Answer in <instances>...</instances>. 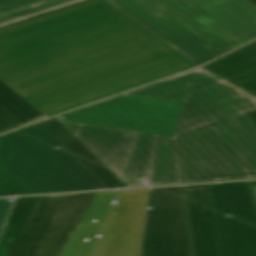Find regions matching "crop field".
<instances>
[{"mask_svg":"<svg viewBox=\"0 0 256 256\" xmlns=\"http://www.w3.org/2000/svg\"><path fill=\"white\" fill-rule=\"evenodd\" d=\"M107 188L123 184L57 117L41 122Z\"/></svg>","mask_w":256,"mask_h":256,"instance_id":"d1516ede","label":"crop field"},{"mask_svg":"<svg viewBox=\"0 0 256 256\" xmlns=\"http://www.w3.org/2000/svg\"><path fill=\"white\" fill-rule=\"evenodd\" d=\"M147 192L117 191L90 256H139Z\"/></svg>","mask_w":256,"mask_h":256,"instance_id":"5a996713","label":"crop field"},{"mask_svg":"<svg viewBox=\"0 0 256 256\" xmlns=\"http://www.w3.org/2000/svg\"><path fill=\"white\" fill-rule=\"evenodd\" d=\"M190 3L195 5L197 8L202 10L204 13H206L208 16L213 18L215 21L220 23L222 26H224L226 29L231 31L233 34L238 36L240 39H242L244 42H249L253 39H251L249 36H247L245 33L240 31L238 28H236L234 25H232L230 22L225 20L223 17H221L219 14L214 12L212 9H210L208 6H206L204 3H202L199 0H188Z\"/></svg>","mask_w":256,"mask_h":256,"instance_id":"bc2a9ffb","label":"crop field"},{"mask_svg":"<svg viewBox=\"0 0 256 256\" xmlns=\"http://www.w3.org/2000/svg\"><path fill=\"white\" fill-rule=\"evenodd\" d=\"M181 189L192 256H221L210 184Z\"/></svg>","mask_w":256,"mask_h":256,"instance_id":"3316defc","label":"crop field"},{"mask_svg":"<svg viewBox=\"0 0 256 256\" xmlns=\"http://www.w3.org/2000/svg\"><path fill=\"white\" fill-rule=\"evenodd\" d=\"M176 9L181 11L183 14L191 18L193 21L198 23L200 26L205 28L207 31L212 33L214 36L222 40L224 43L229 45L231 48L235 49L243 44H245L242 40L237 38L231 32L226 30L224 27L219 25L213 19L208 17L206 14L201 12L195 6L190 4L186 0H165Z\"/></svg>","mask_w":256,"mask_h":256,"instance_id":"733c2abd","label":"crop field"},{"mask_svg":"<svg viewBox=\"0 0 256 256\" xmlns=\"http://www.w3.org/2000/svg\"><path fill=\"white\" fill-rule=\"evenodd\" d=\"M95 194L42 196L9 256H60Z\"/></svg>","mask_w":256,"mask_h":256,"instance_id":"f4fd0767","label":"crop field"},{"mask_svg":"<svg viewBox=\"0 0 256 256\" xmlns=\"http://www.w3.org/2000/svg\"><path fill=\"white\" fill-rule=\"evenodd\" d=\"M39 197L17 198L0 236V256H8L28 222Z\"/></svg>","mask_w":256,"mask_h":256,"instance_id":"d9b57169","label":"crop field"},{"mask_svg":"<svg viewBox=\"0 0 256 256\" xmlns=\"http://www.w3.org/2000/svg\"><path fill=\"white\" fill-rule=\"evenodd\" d=\"M211 187L222 256H256V201L250 183Z\"/></svg>","mask_w":256,"mask_h":256,"instance_id":"dd49c442","label":"crop field"},{"mask_svg":"<svg viewBox=\"0 0 256 256\" xmlns=\"http://www.w3.org/2000/svg\"><path fill=\"white\" fill-rule=\"evenodd\" d=\"M251 38H256V6L248 0H201Z\"/></svg>","mask_w":256,"mask_h":256,"instance_id":"5142ce71","label":"crop field"},{"mask_svg":"<svg viewBox=\"0 0 256 256\" xmlns=\"http://www.w3.org/2000/svg\"><path fill=\"white\" fill-rule=\"evenodd\" d=\"M250 183H251V186H252L255 198H256V181L255 182H250Z\"/></svg>","mask_w":256,"mask_h":256,"instance_id":"00972430","label":"crop field"},{"mask_svg":"<svg viewBox=\"0 0 256 256\" xmlns=\"http://www.w3.org/2000/svg\"><path fill=\"white\" fill-rule=\"evenodd\" d=\"M58 118L128 187L242 179L148 86Z\"/></svg>","mask_w":256,"mask_h":256,"instance_id":"ac0d7876","label":"crop field"},{"mask_svg":"<svg viewBox=\"0 0 256 256\" xmlns=\"http://www.w3.org/2000/svg\"><path fill=\"white\" fill-rule=\"evenodd\" d=\"M114 192H97L61 256H88Z\"/></svg>","mask_w":256,"mask_h":256,"instance_id":"22f410ed","label":"crop field"},{"mask_svg":"<svg viewBox=\"0 0 256 256\" xmlns=\"http://www.w3.org/2000/svg\"><path fill=\"white\" fill-rule=\"evenodd\" d=\"M159 3H161L163 6H165L166 8H168L169 10H171L173 13H175L176 15H178L180 18H182L183 20H185L186 22H188L190 25H192L193 27H195L197 30H199L200 32H202L203 34H205L207 37H209L210 39H212L213 41H215L216 43H218L220 46H222L223 48H225L226 50L230 51L232 50L229 46H227L226 44H224L222 41H220L219 39H217L216 37H214L212 34H210L209 32H207L205 29H203L202 27H200L198 24H196L195 22H193L191 19H189L188 17H186L185 15H183L181 12H179L178 10H176L174 7H172L171 5H169L167 2H165L164 0H156Z\"/></svg>","mask_w":256,"mask_h":256,"instance_id":"214f88e0","label":"crop field"},{"mask_svg":"<svg viewBox=\"0 0 256 256\" xmlns=\"http://www.w3.org/2000/svg\"><path fill=\"white\" fill-rule=\"evenodd\" d=\"M193 67L103 0L2 28L0 134Z\"/></svg>","mask_w":256,"mask_h":256,"instance_id":"8a807250","label":"crop field"},{"mask_svg":"<svg viewBox=\"0 0 256 256\" xmlns=\"http://www.w3.org/2000/svg\"><path fill=\"white\" fill-rule=\"evenodd\" d=\"M203 67L256 96V41Z\"/></svg>","mask_w":256,"mask_h":256,"instance_id":"28ad6ade","label":"crop field"},{"mask_svg":"<svg viewBox=\"0 0 256 256\" xmlns=\"http://www.w3.org/2000/svg\"><path fill=\"white\" fill-rule=\"evenodd\" d=\"M14 199V198H9ZM8 199H0V231L3 227V224L6 220V217L11 209L13 202H7Z\"/></svg>","mask_w":256,"mask_h":256,"instance_id":"92a150f3","label":"crop field"},{"mask_svg":"<svg viewBox=\"0 0 256 256\" xmlns=\"http://www.w3.org/2000/svg\"><path fill=\"white\" fill-rule=\"evenodd\" d=\"M32 194L1 162H0V196Z\"/></svg>","mask_w":256,"mask_h":256,"instance_id":"4a817a6b","label":"crop field"},{"mask_svg":"<svg viewBox=\"0 0 256 256\" xmlns=\"http://www.w3.org/2000/svg\"><path fill=\"white\" fill-rule=\"evenodd\" d=\"M247 116L252 120V122L256 125V111L247 114Z\"/></svg>","mask_w":256,"mask_h":256,"instance_id":"dafd665d","label":"crop field"},{"mask_svg":"<svg viewBox=\"0 0 256 256\" xmlns=\"http://www.w3.org/2000/svg\"><path fill=\"white\" fill-rule=\"evenodd\" d=\"M0 161L33 194L106 188L40 123L0 136Z\"/></svg>","mask_w":256,"mask_h":256,"instance_id":"412701ff","label":"crop field"},{"mask_svg":"<svg viewBox=\"0 0 256 256\" xmlns=\"http://www.w3.org/2000/svg\"><path fill=\"white\" fill-rule=\"evenodd\" d=\"M243 179H256V99L198 68L149 85Z\"/></svg>","mask_w":256,"mask_h":256,"instance_id":"34b2d1b8","label":"crop field"},{"mask_svg":"<svg viewBox=\"0 0 256 256\" xmlns=\"http://www.w3.org/2000/svg\"><path fill=\"white\" fill-rule=\"evenodd\" d=\"M250 1L256 5V0H250Z\"/></svg>","mask_w":256,"mask_h":256,"instance_id":"a9b5d70f","label":"crop field"},{"mask_svg":"<svg viewBox=\"0 0 256 256\" xmlns=\"http://www.w3.org/2000/svg\"><path fill=\"white\" fill-rule=\"evenodd\" d=\"M142 256H191L180 186L151 188Z\"/></svg>","mask_w":256,"mask_h":256,"instance_id":"d8731c3e","label":"crop field"},{"mask_svg":"<svg viewBox=\"0 0 256 256\" xmlns=\"http://www.w3.org/2000/svg\"><path fill=\"white\" fill-rule=\"evenodd\" d=\"M82 0H0V26L34 17Z\"/></svg>","mask_w":256,"mask_h":256,"instance_id":"cbeb9de0","label":"crop field"},{"mask_svg":"<svg viewBox=\"0 0 256 256\" xmlns=\"http://www.w3.org/2000/svg\"><path fill=\"white\" fill-rule=\"evenodd\" d=\"M106 1L199 65L227 52L155 0Z\"/></svg>","mask_w":256,"mask_h":256,"instance_id":"e52e79f7","label":"crop field"}]
</instances>
